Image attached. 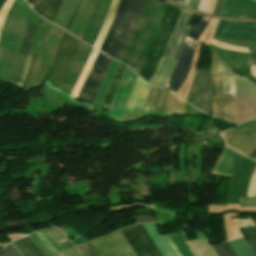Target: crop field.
<instances>
[{"instance_id": "1", "label": "crop field", "mask_w": 256, "mask_h": 256, "mask_svg": "<svg viewBox=\"0 0 256 256\" xmlns=\"http://www.w3.org/2000/svg\"><path fill=\"white\" fill-rule=\"evenodd\" d=\"M216 53L211 51L212 113L232 123L234 116L232 74L226 73L227 64L219 59Z\"/></svg>"}, {"instance_id": "2", "label": "crop field", "mask_w": 256, "mask_h": 256, "mask_svg": "<svg viewBox=\"0 0 256 256\" xmlns=\"http://www.w3.org/2000/svg\"><path fill=\"white\" fill-rule=\"evenodd\" d=\"M179 13L180 9L170 4L166 5L161 23L150 44L142 68L138 74V76L147 82H150L151 77L159 64L162 52L172 34Z\"/></svg>"}, {"instance_id": "3", "label": "crop field", "mask_w": 256, "mask_h": 256, "mask_svg": "<svg viewBox=\"0 0 256 256\" xmlns=\"http://www.w3.org/2000/svg\"><path fill=\"white\" fill-rule=\"evenodd\" d=\"M192 15L193 14L182 9L172 37L162 55V61L176 62L180 48L190 29V26H187V22ZM162 61H160L159 67L150 82L151 84L162 86L174 66L173 63Z\"/></svg>"}, {"instance_id": "4", "label": "crop field", "mask_w": 256, "mask_h": 256, "mask_svg": "<svg viewBox=\"0 0 256 256\" xmlns=\"http://www.w3.org/2000/svg\"><path fill=\"white\" fill-rule=\"evenodd\" d=\"M209 21V18L204 17L199 27L192 26L185 43L182 46L176 65L166 81L164 88L177 92L189 71L191 59L196 48L197 39Z\"/></svg>"}, {"instance_id": "5", "label": "crop field", "mask_w": 256, "mask_h": 256, "mask_svg": "<svg viewBox=\"0 0 256 256\" xmlns=\"http://www.w3.org/2000/svg\"><path fill=\"white\" fill-rule=\"evenodd\" d=\"M144 0H129L124 16L113 37L111 46L106 54L120 60L129 40L134 31L135 25L142 10Z\"/></svg>"}, {"instance_id": "6", "label": "crop field", "mask_w": 256, "mask_h": 256, "mask_svg": "<svg viewBox=\"0 0 256 256\" xmlns=\"http://www.w3.org/2000/svg\"><path fill=\"white\" fill-rule=\"evenodd\" d=\"M186 101L203 111L211 113L212 90L210 70L196 71Z\"/></svg>"}, {"instance_id": "7", "label": "crop field", "mask_w": 256, "mask_h": 256, "mask_svg": "<svg viewBox=\"0 0 256 256\" xmlns=\"http://www.w3.org/2000/svg\"><path fill=\"white\" fill-rule=\"evenodd\" d=\"M79 41L65 32L63 39L60 43L56 60L53 66V71L49 78V82L59 87L68 69L70 60L78 46Z\"/></svg>"}, {"instance_id": "8", "label": "crop field", "mask_w": 256, "mask_h": 256, "mask_svg": "<svg viewBox=\"0 0 256 256\" xmlns=\"http://www.w3.org/2000/svg\"><path fill=\"white\" fill-rule=\"evenodd\" d=\"M111 58L99 52L78 96L77 99L92 103L99 84L103 78L106 68Z\"/></svg>"}, {"instance_id": "9", "label": "crop field", "mask_w": 256, "mask_h": 256, "mask_svg": "<svg viewBox=\"0 0 256 256\" xmlns=\"http://www.w3.org/2000/svg\"><path fill=\"white\" fill-rule=\"evenodd\" d=\"M138 256H162L141 224L122 230Z\"/></svg>"}, {"instance_id": "10", "label": "crop field", "mask_w": 256, "mask_h": 256, "mask_svg": "<svg viewBox=\"0 0 256 256\" xmlns=\"http://www.w3.org/2000/svg\"><path fill=\"white\" fill-rule=\"evenodd\" d=\"M92 47H88L82 43L79 46L72 58L67 74L59 89L70 94L90 52Z\"/></svg>"}, {"instance_id": "11", "label": "crop field", "mask_w": 256, "mask_h": 256, "mask_svg": "<svg viewBox=\"0 0 256 256\" xmlns=\"http://www.w3.org/2000/svg\"><path fill=\"white\" fill-rule=\"evenodd\" d=\"M111 1L112 0H98L93 15L89 21V24L81 40L93 46L101 30L108 9L110 7Z\"/></svg>"}, {"instance_id": "12", "label": "crop field", "mask_w": 256, "mask_h": 256, "mask_svg": "<svg viewBox=\"0 0 256 256\" xmlns=\"http://www.w3.org/2000/svg\"><path fill=\"white\" fill-rule=\"evenodd\" d=\"M226 145L248 155L256 145V134L232 129L221 133Z\"/></svg>"}, {"instance_id": "13", "label": "crop field", "mask_w": 256, "mask_h": 256, "mask_svg": "<svg viewBox=\"0 0 256 256\" xmlns=\"http://www.w3.org/2000/svg\"><path fill=\"white\" fill-rule=\"evenodd\" d=\"M215 35L228 38L256 40V29L237 23L230 24L228 21L220 20Z\"/></svg>"}, {"instance_id": "14", "label": "crop field", "mask_w": 256, "mask_h": 256, "mask_svg": "<svg viewBox=\"0 0 256 256\" xmlns=\"http://www.w3.org/2000/svg\"><path fill=\"white\" fill-rule=\"evenodd\" d=\"M37 28L32 24V22L28 19L27 20V26H26V32L25 36L22 40L21 50L20 54L17 60V63L15 65L14 71L10 77L11 83L17 84V81L19 79L20 73L22 71V68L24 66V63L26 61L27 52L30 48L32 39L34 37V34L36 32Z\"/></svg>"}, {"instance_id": "15", "label": "crop field", "mask_w": 256, "mask_h": 256, "mask_svg": "<svg viewBox=\"0 0 256 256\" xmlns=\"http://www.w3.org/2000/svg\"><path fill=\"white\" fill-rule=\"evenodd\" d=\"M240 156V153L225 146L212 173L232 176Z\"/></svg>"}, {"instance_id": "16", "label": "crop field", "mask_w": 256, "mask_h": 256, "mask_svg": "<svg viewBox=\"0 0 256 256\" xmlns=\"http://www.w3.org/2000/svg\"><path fill=\"white\" fill-rule=\"evenodd\" d=\"M169 93L170 92L165 89L150 85L142 111H157L165 109Z\"/></svg>"}, {"instance_id": "17", "label": "crop field", "mask_w": 256, "mask_h": 256, "mask_svg": "<svg viewBox=\"0 0 256 256\" xmlns=\"http://www.w3.org/2000/svg\"><path fill=\"white\" fill-rule=\"evenodd\" d=\"M142 225H143V227L145 228V230L147 231V233L149 234V236L151 237V239L153 240V242L155 243V245L157 246V248L159 249V251L161 252V254L163 256H171V255L172 256H177V255L181 256V254L176 249V247L174 246V244L172 243V241L170 240L168 235H165V237H166V239L168 240V242L170 243V245L172 246V248L174 249V251L176 252L177 255L175 254V252L173 251V249L171 248V246L169 245V243L167 242L165 237L161 236L162 237L161 240L163 241V243L165 244V246L167 247V249L171 253V255H170V253L168 252V250L166 249V247L164 246V244L162 243V241L159 238L158 232L156 230L155 223H148V224H142Z\"/></svg>"}, {"instance_id": "18", "label": "crop field", "mask_w": 256, "mask_h": 256, "mask_svg": "<svg viewBox=\"0 0 256 256\" xmlns=\"http://www.w3.org/2000/svg\"><path fill=\"white\" fill-rule=\"evenodd\" d=\"M28 237L46 256H65L43 231H39Z\"/></svg>"}, {"instance_id": "19", "label": "crop field", "mask_w": 256, "mask_h": 256, "mask_svg": "<svg viewBox=\"0 0 256 256\" xmlns=\"http://www.w3.org/2000/svg\"><path fill=\"white\" fill-rule=\"evenodd\" d=\"M151 2H152V0H145V2H144L143 10H142L140 18L138 20V23H137V26L135 28V31H134V33H133V35L131 37V40H130L127 48H126V51H125V53H124V55H123V57L121 59V62H123L125 64H127L128 61H129L132 49H133V47L135 45V42H136V40L138 38V35H139V33H140L141 29H142V26H143V24L145 22V19H146L147 15H148L150 7H151Z\"/></svg>"}, {"instance_id": "20", "label": "crop field", "mask_w": 256, "mask_h": 256, "mask_svg": "<svg viewBox=\"0 0 256 256\" xmlns=\"http://www.w3.org/2000/svg\"><path fill=\"white\" fill-rule=\"evenodd\" d=\"M158 5H159V3L153 1L151 10H150L149 15H148V17H147V20H146V22H145V24H144V27H143V29H142V32H141V34H140V36H139V39H138V41H137V44H136V46H135V48H134V51H133L132 56H131V59H130L129 63L127 64V65H129L131 68H132V66H133V64H134V62H135V60H136V58H137V56H138V54H139V52H140V49H141V47H142V44H143V42H144V40H145V37H146V35H147V32H148V30H149V28H150V26H151V24H152V22H153V20H154V18H155Z\"/></svg>"}, {"instance_id": "21", "label": "crop field", "mask_w": 256, "mask_h": 256, "mask_svg": "<svg viewBox=\"0 0 256 256\" xmlns=\"http://www.w3.org/2000/svg\"><path fill=\"white\" fill-rule=\"evenodd\" d=\"M98 256H122L109 235L90 242Z\"/></svg>"}, {"instance_id": "22", "label": "crop field", "mask_w": 256, "mask_h": 256, "mask_svg": "<svg viewBox=\"0 0 256 256\" xmlns=\"http://www.w3.org/2000/svg\"><path fill=\"white\" fill-rule=\"evenodd\" d=\"M44 232L53 240V242L64 252L66 256H79L75 248L56 228L44 230Z\"/></svg>"}, {"instance_id": "23", "label": "crop field", "mask_w": 256, "mask_h": 256, "mask_svg": "<svg viewBox=\"0 0 256 256\" xmlns=\"http://www.w3.org/2000/svg\"><path fill=\"white\" fill-rule=\"evenodd\" d=\"M128 0H121L120 1V4H119V7L117 9V12L114 16V19L111 23V26L109 28V31H108V34L106 36V39L101 47L100 50H102L103 52H106L107 48L109 47V45L111 44V41H112V37L118 27V24L120 22V19H121V16L123 14V11H124V8L127 4Z\"/></svg>"}, {"instance_id": "24", "label": "crop field", "mask_w": 256, "mask_h": 256, "mask_svg": "<svg viewBox=\"0 0 256 256\" xmlns=\"http://www.w3.org/2000/svg\"><path fill=\"white\" fill-rule=\"evenodd\" d=\"M228 244L236 256H256L245 237L228 241Z\"/></svg>"}, {"instance_id": "25", "label": "crop field", "mask_w": 256, "mask_h": 256, "mask_svg": "<svg viewBox=\"0 0 256 256\" xmlns=\"http://www.w3.org/2000/svg\"><path fill=\"white\" fill-rule=\"evenodd\" d=\"M124 68H125L124 65L119 64V66L117 68V71H116V73L114 75V78H113V80L111 82V85L109 84L110 87H109V89H108V91L106 93V96H105V98H104V100H103V102H102L100 107H105V108H109L110 107L112 96H113V94H114V92L116 90V87L118 85L119 79H120V77H121V75H122V73L124 71Z\"/></svg>"}, {"instance_id": "26", "label": "crop field", "mask_w": 256, "mask_h": 256, "mask_svg": "<svg viewBox=\"0 0 256 256\" xmlns=\"http://www.w3.org/2000/svg\"><path fill=\"white\" fill-rule=\"evenodd\" d=\"M14 243L26 256H45L28 237L16 240Z\"/></svg>"}, {"instance_id": "27", "label": "crop field", "mask_w": 256, "mask_h": 256, "mask_svg": "<svg viewBox=\"0 0 256 256\" xmlns=\"http://www.w3.org/2000/svg\"><path fill=\"white\" fill-rule=\"evenodd\" d=\"M118 3H119V0H113V2H112V5L110 7V10H109L108 16H107V18L105 20V23L103 25V28H102V30H101V32H100V34H99L95 44H94V47H96L98 49L100 48V46H101V44L103 42V39H104V37L106 35V32H107V30H108V28L110 26V23H111V21L113 19V16H114L115 12H116Z\"/></svg>"}, {"instance_id": "28", "label": "crop field", "mask_w": 256, "mask_h": 256, "mask_svg": "<svg viewBox=\"0 0 256 256\" xmlns=\"http://www.w3.org/2000/svg\"><path fill=\"white\" fill-rule=\"evenodd\" d=\"M98 52L99 51H97L96 49H93V51H92V53H91V55H90L86 65H85V67H84V69H83V71H82V73H81V75H80V77H79L75 87L73 88V90H72V92L70 94L73 97L76 98V96H77V94H78V92H79V90H80V88H81V86H82V84H83L87 74H88V71H89L92 63H93V61L95 60V58H96V56L98 54Z\"/></svg>"}, {"instance_id": "29", "label": "crop field", "mask_w": 256, "mask_h": 256, "mask_svg": "<svg viewBox=\"0 0 256 256\" xmlns=\"http://www.w3.org/2000/svg\"><path fill=\"white\" fill-rule=\"evenodd\" d=\"M111 237L121 250L124 256H137L136 253L133 251L121 231L111 234Z\"/></svg>"}, {"instance_id": "30", "label": "crop field", "mask_w": 256, "mask_h": 256, "mask_svg": "<svg viewBox=\"0 0 256 256\" xmlns=\"http://www.w3.org/2000/svg\"><path fill=\"white\" fill-rule=\"evenodd\" d=\"M62 0H52L50 7L48 8L47 12L45 13L44 17L45 19L49 20V21H53L57 10L61 4ZM59 11V10H58Z\"/></svg>"}, {"instance_id": "31", "label": "crop field", "mask_w": 256, "mask_h": 256, "mask_svg": "<svg viewBox=\"0 0 256 256\" xmlns=\"http://www.w3.org/2000/svg\"><path fill=\"white\" fill-rule=\"evenodd\" d=\"M213 249L215 250L218 256H235L227 242L221 245L213 246Z\"/></svg>"}, {"instance_id": "32", "label": "crop field", "mask_w": 256, "mask_h": 256, "mask_svg": "<svg viewBox=\"0 0 256 256\" xmlns=\"http://www.w3.org/2000/svg\"><path fill=\"white\" fill-rule=\"evenodd\" d=\"M252 248L256 253V227L243 229Z\"/></svg>"}, {"instance_id": "33", "label": "crop field", "mask_w": 256, "mask_h": 256, "mask_svg": "<svg viewBox=\"0 0 256 256\" xmlns=\"http://www.w3.org/2000/svg\"><path fill=\"white\" fill-rule=\"evenodd\" d=\"M90 245H89V243L80 245V246H77V249L79 250V252L81 253L82 256H97L96 253L92 249L93 247L91 248Z\"/></svg>"}, {"instance_id": "34", "label": "crop field", "mask_w": 256, "mask_h": 256, "mask_svg": "<svg viewBox=\"0 0 256 256\" xmlns=\"http://www.w3.org/2000/svg\"><path fill=\"white\" fill-rule=\"evenodd\" d=\"M0 256H22L12 245H7L0 251Z\"/></svg>"}, {"instance_id": "35", "label": "crop field", "mask_w": 256, "mask_h": 256, "mask_svg": "<svg viewBox=\"0 0 256 256\" xmlns=\"http://www.w3.org/2000/svg\"><path fill=\"white\" fill-rule=\"evenodd\" d=\"M51 0H41L39 4L33 9L36 13L43 16L47 10Z\"/></svg>"}, {"instance_id": "36", "label": "crop field", "mask_w": 256, "mask_h": 256, "mask_svg": "<svg viewBox=\"0 0 256 256\" xmlns=\"http://www.w3.org/2000/svg\"><path fill=\"white\" fill-rule=\"evenodd\" d=\"M247 197H256V168L249 185Z\"/></svg>"}, {"instance_id": "37", "label": "crop field", "mask_w": 256, "mask_h": 256, "mask_svg": "<svg viewBox=\"0 0 256 256\" xmlns=\"http://www.w3.org/2000/svg\"><path fill=\"white\" fill-rule=\"evenodd\" d=\"M256 206V198H240V207Z\"/></svg>"}, {"instance_id": "38", "label": "crop field", "mask_w": 256, "mask_h": 256, "mask_svg": "<svg viewBox=\"0 0 256 256\" xmlns=\"http://www.w3.org/2000/svg\"><path fill=\"white\" fill-rule=\"evenodd\" d=\"M83 3H84V0H80L79 4H78V6H77V8H76V10H75V12H74V15H73V17H72V19H71L69 25L66 27L65 30L70 31V29H71V27H72V25H73V23H74V21H75L77 15H78L79 11H80V9H81Z\"/></svg>"}, {"instance_id": "39", "label": "crop field", "mask_w": 256, "mask_h": 256, "mask_svg": "<svg viewBox=\"0 0 256 256\" xmlns=\"http://www.w3.org/2000/svg\"><path fill=\"white\" fill-rule=\"evenodd\" d=\"M30 58H31V54H30V53H28V57H27L26 64H25V66H24V68H23L22 75H21V77H20V79H19V82H18V85H17V86H19V87H21V86H22V83H23V80H24L25 74H26L27 69H28V66H29Z\"/></svg>"}, {"instance_id": "40", "label": "crop field", "mask_w": 256, "mask_h": 256, "mask_svg": "<svg viewBox=\"0 0 256 256\" xmlns=\"http://www.w3.org/2000/svg\"><path fill=\"white\" fill-rule=\"evenodd\" d=\"M224 0H217L215 9H214V15L220 16L222 13V8H223Z\"/></svg>"}, {"instance_id": "41", "label": "crop field", "mask_w": 256, "mask_h": 256, "mask_svg": "<svg viewBox=\"0 0 256 256\" xmlns=\"http://www.w3.org/2000/svg\"><path fill=\"white\" fill-rule=\"evenodd\" d=\"M136 219L138 220V222L155 221L154 216H139L136 217Z\"/></svg>"}, {"instance_id": "42", "label": "crop field", "mask_w": 256, "mask_h": 256, "mask_svg": "<svg viewBox=\"0 0 256 256\" xmlns=\"http://www.w3.org/2000/svg\"><path fill=\"white\" fill-rule=\"evenodd\" d=\"M27 3L34 8L40 0H26Z\"/></svg>"}, {"instance_id": "43", "label": "crop field", "mask_w": 256, "mask_h": 256, "mask_svg": "<svg viewBox=\"0 0 256 256\" xmlns=\"http://www.w3.org/2000/svg\"><path fill=\"white\" fill-rule=\"evenodd\" d=\"M248 157L256 161V147L252 150Z\"/></svg>"}, {"instance_id": "44", "label": "crop field", "mask_w": 256, "mask_h": 256, "mask_svg": "<svg viewBox=\"0 0 256 256\" xmlns=\"http://www.w3.org/2000/svg\"><path fill=\"white\" fill-rule=\"evenodd\" d=\"M248 64H252L254 66H256V59H251V58H248L247 62Z\"/></svg>"}, {"instance_id": "45", "label": "crop field", "mask_w": 256, "mask_h": 256, "mask_svg": "<svg viewBox=\"0 0 256 256\" xmlns=\"http://www.w3.org/2000/svg\"><path fill=\"white\" fill-rule=\"evenodd\" d=\"M199 2H200V0H194L192 7L197 9V8H198V5H199Z\"/></svg>"}, {"instance_id": "46", "label": "crop field", "mask_w": 256, "mask_h": 256, "mask_svg": "<svg viewBox=\"0 0 256 256\" xmlns=\"http://www.w3.org/2000/svg\"><path fill=\"white\" fill-rule=\"evenodd\" d=\"M183 4L191 7L192 0H184Z\"/></svg>"}, {"instance_id": "47", "label": "crop field", "mask_w": 256, "mask_h": 256, "mask_svg": "<svg viewBox=\"0 0 256 256\" xmlns=\"http://www.w3.org/2000/svg\"><path fill=\"white\" fill-rule=\"evenodd\" d=\"M250 52H251V54H250L249 57H251V58H256V52H253V51H250Z\"/></svg>"}, {"instance_id": "48", "label": "crop field", "mask_w": 256, "mask_h": 256, "mask_svg": "<svg viewBox=\"0 0 256 256\" xmlns=\"http://www.w3.org/2000/svg\"><path fill=\"white\" fill-rule=\"evenodd\" d=\"M6 0H2V2L0 3V8L2 7V5L4 4Z\"/></svg>"}, {"instance_id": "49", "label": "crop field", "mask_w": 256, "mask_h": 256, "mask_svg": "<svg viewBox=\"0 0 256 256\" xmlns=\"http://www.w3.org/2000/svg\"><path fill=\"white\" fill-rule=\"evenodd\" d=\"M176 1H178V2H180V3H182V2H183V0H176ZM176 1H175V2H176ZM178 2H177V3H178Z\"/></svg>"}, {"instance_id": "50", "label": "crop field", "mask_w": 256, "mask_h": 256, "mask_svg": "<svg viewBox=\"0 0 256 256\" xmlns=\"http://www.w3.org/2000/svg\"><path fill=\"white\" fill-rule=\"evenodd\" d=\"M253 27H256V25H254Z\"/></svg>"}, {"instance_id": "51", "label": "crop field", "mask_w": 256, "mask_h": 256, "mask_svg": "<svg viewBox=\"0 0 256 256\" xmlns=\"http://www.w3.org/2000/svg\"><path fill=\"white\" fill-rule=\"evenodd\" d=\"M253 1H256V0H253Z\"/></svg>"}, {"instance_id": "52", "label": "crop field", "mask_w": 256, "mask_h": 256, "mask_svg": "<svg viewBox=\"0 0 256 256\" xmlns=\"http://www.w3.org/2000/svg\"><path fill=\"white\" fill-rule=\"evenodd\" d=\"M0 2H1V0H0Z\"/></svg>"}]
</instances>
